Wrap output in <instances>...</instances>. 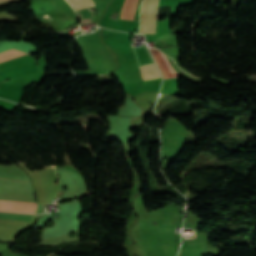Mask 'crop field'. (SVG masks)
I'll return each instance as SVG.
<instances>
[{
	"label": "crop field",
	"mask_w": 256,
	"mask_h": 256,
	"mask_svg": "<svg viewBox=\"0 0 256 256\" xmlns=\"http://www.w3.org/2000/svg\"><path fill=\"white\" fill-rule=\"evenodd\" d=\"M79 14H80V16H81V20H83V19H88V18L91 17V13L89 12L88 9L80 10V11H79ZM89 20H90V19H88V20H83V21H81V24H83V23H85V22H88Z\"/></svg>",
	"instance_id": "d8731c3e"
},
{
	"label": "crop field",
	"mask_w": 256,
	"mask_h": 256,
	"mask_svg": "<svg viewBox=\"0 0 256 256\" xmlns=\"http://www.w3.org/2000/svg\"><path fill=\"white\" fill-rule=\"evenodd\" d=\"M0 217L15 218V219H25V220H30V218H31V216H26V215H12V214H0Z\"/></svg>",
	"instance_id": "5a996713"
},
{
	"label": "crop field",
	"mask_w": 256,
	"mask_h": 256,
	"mask_svg": "<svg viewBox=\"0 0 256 256\" xmlns=\"http://www.w3.org/2000/svg\"><path fill=\"white\" fill-rule=\"evenodd\" d=\"M0 204L35 207L34 202H29V201H14V200L0 199ZM4 205H0V211L34 213V210H35V208H29V207H16V206H4Z\"/></svg>",
	"instance_id": "ac0d7876"
},
{
	"label": "crop field",
	"mask_w": 256,
	"mask_h": 256,
	"mask_svg": "<svg viewBox=\"0 0 256 256\" xmlns=\"http://www.w3.org/2000/svg\"><path fill=\"white\" fill-rule=\"evenodd\" d=\"M140 70L144 80L161 77L155 63L141 66Z\"/></svg>",
	"instance_id": "f4fd0767"
},
{
	"label": "crop field",
	"mask_w": 256,
	"mask_h": 256,
	"mask_svg": "<svg viewBox=\"0 0 256 256\" xmlns=\"http://www.w3.org/2000/svg\"><path fill=\"white\" fill-rule=\"evenodd\" d=\"M76 10L94 6L91 0H67Z\"/></svg>",
	"instance_id": "dd49c442"
},
{
	"label": "crop field",
	"mask_w": 256,
	"mask_h": 256,
	"mask_svg": "<svg viewBox=\"0 0 256 256\" xmlns=\"http://www.w3.org/2000/svg\"><path fill=\"white\" fill-rule=\"evenodd\" d=\"M20 1H22V0H0V5L12 3V2H20Z\"/></svg>",
	"instance_id": "3316defc"
},
{
	"label": "crop field",
	"mask_w": 256,
	"mask_h": 256,
	"mask_svg": "<svg viewBox=\"0 0 256 256\" xmlns=\"http://www.w3.org/2000/svg\"><path fill=\"white\" fill-rule=\"evenodd\" d=\"M25 54L26 53L11 50V51L0 54V62L10 60V59H13V58L25 55Z\"/></svg>",
	"instance_id": "e52e79f7"
},
{
	"label": "crop field",
	"mask_w": 256,
	"mask_h": 256,
	"mask_svg": "<svg viewBox=\"0 0 256 256\" xmlns=\"http://www.w3.org/2000/svg\"><path fill=\"white\" fill-rule=\"evenodd\" d=\"M137 1L138 0L125 1L122 9L121 18L133 20L134 13L136 11Z\"/></svg>",
	"instance_id": "412701ff"
},
{
	"label": "crop field",
	"mask_w": 256,
	"mask_h": 256,
	"mask_svg": "<svg viewBox=\"0 0 256 256\" xmlns=\"http://www.w3.org/2000/svg\"><path fill=\"white\" fill-rule=\"evenodd\" d=\"M141 33H155L159 0H144Z\"/></svg>",
	"instance_id": "8a807250"
},
{
	"label": "crop field",
	"mask_w": 256,
	"mask_h": 256,
	"mask_svg": "<svg viewBox=\"0 0 256 256\" xmlns=\"http://www.w3.org/2000/svg\"><path fill=\"white\" fill-rule=\"evenodd\" d=\"M151 51L164 75V78L178 77L177 73L174 71V69L171 67L170 63L167 61L162 53H160L158 50Z\"/></svg>",
	"instance_id": "34b2d1b8"
}]
</instances>
